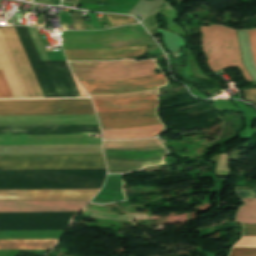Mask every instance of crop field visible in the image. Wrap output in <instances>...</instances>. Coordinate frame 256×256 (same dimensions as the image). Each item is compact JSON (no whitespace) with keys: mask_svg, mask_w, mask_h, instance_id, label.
I'll return each mask as SVG.
<instances>
[{"mask_svg":"<svg viewBox=\"0 0 256 256\" xmlns=\"http://www.w3.org/2000/svg\"><path fill=\"white\" fill-rule=\"evenodd\" d=\"M78 80L122 79L155 74L156 65L148 61L69 62Z\"/></svg>","mask_w":256,"mask_h":256,"instance_id":"obj_2","label":"crop field"},{"mask_svg":"<svg viewBox=\"0 0 256 256\" xmlns=\"http://www.w3.org/2000/svg\"><path fill=\"white\" fill-rule=\"evenodd\" d=\"M245 206L241 207L236 221L246 224H256V198H242Z\"/></svg>","mask_w":256,"mask_h":256,"instance_id":"obj_16","label":"crop field"},{"mask_svg":"<svg viewBox=\"0 0 256 256\" xmlns=\"http://www.w3.org/2000/svg\"><path fill=\"white\" fill-rule=\"evenodd\" d=\"M29 98L44 97L14 28H0Z\"/></svg>","mask_w":256,"mask_h":256,"instance_id":"obj_5","label":"crop field"},{"mask_svg":"<svg viewBox=\"0 0 256 256\" xmlns=\"http://www.w3.org/2000/svg\"><path fill=\"white\" fill-rule=\"evenodd\" d=\"M107 16L113 27L138 23L134 18L130 16H119V15H110V14H107Z\"/></svg>","mask_w":256,"mask_h":256,"instance_id":"obj_18","label":"crop field"},{"mask_svg":"<svg viewBox=\"0 0 256 256\" xmlns=\"http://www.w3.org/2000/svg\"><path fill=\"white\" fill-rule=\"evenodd\" d=\"M200 28L202 47L210 70L215 72L238 65L247 82L252 81L242 64L235 30L218 25Z\"/></svg>","mask_w":256,"mask_h":256,"instance_id":"obj_1","label":"crop field"},{"mask_svg":"<svg viewBox=\"0 0 256 256\" xmlns=\"http://www.w3.org/2000/svg\"><path fill=\"white\" fill-rule=\"evenodd\" d=\"M0 68L14 98H28L0 32ZM0 70V98H13Z\"/></svg>","mask_w":256,"mask_h":256,"instance_id":"obj_8","label":"crop field"},{"mask_svg":"<svg viewBox=\"0 0 256 256\" xmlns=\"http://www.w3.org/2000/svg\"><path fill=\"white\" fill-rule=\"evenodd\" d=\"M161 145L158 139L141 141L103 142V148H141Z\"/></svg>","mask_w":256,"mask_h":256,"instance_id":"obj_17","label":"crop field"},{"mask_svg":"<svg viewBox=\"0 0 256 256\" xmlns=\"http://www.w3.org/2000/svg\"><path fill=\"white\" fill-rule=\"evenodd\" d=\"M96 112H124L156 106V94L121 99H92Z\"/></svg>","mask_w":256,"mask_h":256,"instance_id":"obj_11","label":"crop field"},{"mask_svg":"<svg viewBox=\"0 0 256 256\" xmlns=\"http://www.w3.org/2000/svg\"><path fill=\"white\" fill-rule=\"evenodd\" d=\"M57 240H0V250L52 249Z\"/></svg>","mask_w":256,"mask_h":256,"instance_id":"obj_15","label":"crop field"},{"mask_svg":"<svg viewBox=\"0 0 256 256\" xmlns=\"http://www.w3.org/2000/svg\"><path fill=\"white\" fill-rule=\"evenodd\" d=\"M89 93L103 92H124L145 89L155 86H161L166 83L162 74L122 79V80H97V81H80Z\"/></svg>","mask_w":256,"mask_h":256,"instance_id":"obj_6","label":"crop field"},{"mask_svg":"<svg viewBox=\"0 0 256 256\" xmlns=\"http://www.w3.org/2000/svg\"><path fill=\"white\" fill-rule=\"evenodd\" d=\"M244 236H256V225H244Z\"/></svg>","mask_w":256,"mask_h":256,"instance_id":"obj_24","label":"crop field"},{"mask_svg":"<svg viewBox=\"0 0 256 256\" xmlns=\"http://www.w3.org/2000/svg\"><path fill=\"white\" fill-rule=\"evenodd\" d=\"M99 189L0 191V200L92 198Z\"/></svg>","mask_w":256,"mask_h":256,"instance_id":"obj_10","label":"crop field"},{"mask_svg":"<svg viewBox=\"0 0 256 256\" xmlns=\"http://www.w3.org/2000/svg\"><path fill=\"white\" fill-rule=\"evenodd\" d=\"M249 41L256 61V30L248 31Z\"/></svg>","mask_w":256,"mask_h":256,"instance_id":"obj_22","label":"crop field"},{"mask_svg":"<svg viewBox=\"0 0 256 256\" xmlns=\"http://www.w3.org/2000/svg\"><path fill=\"white\" fill-rule=\"evenodd\" d=\"M231 256H256V248H233Z\"/></svg>","mask_w":256,"mask_h":256,"instance_id":"obj_19","label":"crop field"},{"mask_svg":"<svg viewBox=\"0 0 256 256\" xmlns=\"http://www.w3.org/2000/svg\"><path fill=\"white\" fill-rule=\"evenodd\" d=\"M146 44L122 49L64 50L67 59L117 58L144 54Z\"/></svg>","mask_w":256,"mask_h":256,"instance_id":"obj_13","label":"crop field"},{"mask_svg":"<svg viewBox=\"0 0 256 256\" xmlns=\"http://www.w3.org/2000/svg\"><path fill=\"white\" fill-rule=\"evenodd\" d=\"M163 126L161 124L127 128V129H102L103 139H140L154 137L161 132Z\"/></svg>","mask_w":256,"mask_h":256,"instance_id":"obj_14","label":"crop field"},{"mask_svg":"<svg viewBox=\"0 0 256 256\" xmlns=\"http://www.w3.org/2000/svg\"><path fill=\"white\" fill-rule=\"evenodd\" d=\"M72 19L74 21V30H85L81 19V12L72 10Z\"/></svg>","mask_w":256,"mask_h":256,"instance_id":"obj_20","label":"crop field"},{"mask_svg":"<svg viewBox=\"0 0 256 256\" xmlns=\"http://www.w3.org/2000/svg\"><path fill=\"white\" fill-rule=\"evenodd\" d=\"M235 246H256V237H243Z\"/></svg>","mask_w":256,"mask_h":256,"instance_id":"obj_21","label":"crop field"},{"mask_svg":"<svg viewBox=\"0 0 256 256\" xmlns=\"http://www.w3.org/2000/svg\"><path fill=\"white\" fill-rule=\"evenodd\" d=\"M89 200L0 201V212L78 211Z\"/></svg>","mask_w":256,"mask_h":256,"instance_id":"obj_7","label":"crop field"},{"mask_svg":"<svg viewBox=\"0 0 256 256\" xmlns=\"http://www.w3.org/2000/svg\"><path fill=\"white\" fill-rule=\"evenodd\" d=\"M98 114L103 128H127L160 123L155 115V108L124 113Z\"/></svg>","mask_w":256,"mask_h":256,"instance_id":"obj_9","label":"crop field"},{"mask_svg":"<svg viewBox=\"0 0 256 256\" xmlns=\"http://www.w3.org/2000/svg\"><path fill=\"white\" fill-rule=\"evenodd\" d=\"M95 114L91 100L0 101V116Z\"/></svg>","mask_w":256,"mask_h":256,"instance_id":"obj_4","label":"crop field"},{"mask_svg":"<svg viewBox=\"0 0 256 256\" xmlns=\"http://www.w3.org/2000/svg\"><path fill=\"white\" fill-rule=\"evenodd\" d=\"M102 153L101 145L0 146V154Z\"/></svg>","mask_w":256,"mask_h":256,"instance_id":"obj_12","label":"crop field"},{"mask_svg":"<svg viewBox=\"0 0 256 256\" xmlns=\"http://www.w3.org/2000/svg\"><path fill=\"white\" fill-rule=\"evenodd\" d=\"M235 193L239 197H256V189L255 190H236Z\"/></svg>","mask_w":256,"mask_h":256,"instance_id":"obj_23","label":"crop field"},{"mask_svg":"<svg viewBox=\"0 0 256 256\" xmlns=\"http://www.w3.org/2000/svg\"><path fill=\"white\" fill-rule=\"evenodd\" d=\"M105 168L103 155L1 156L0 170Z\"/></svg>","mask_w":256,"mask_h":256,"instance_id":"obj_3","label":"crop field"},{"mask_svg":"<svg viewBox=\"0 0 256 256\" xmlns=\"http://www.w3.org/2000/svg\"><path fill=\"white\" fill-rule=\"evenodd\" d=\"M248 91L256 98V89H250ZM243 93L247 100L256 103V100L246 90H244Z\"/></svg>","mask_w":256,"mask_h":256,"instance_id":"obj_25","label":"crop field"}]
</instances>
